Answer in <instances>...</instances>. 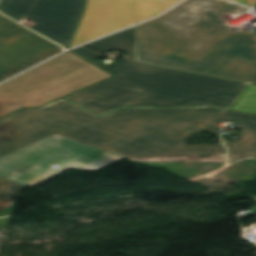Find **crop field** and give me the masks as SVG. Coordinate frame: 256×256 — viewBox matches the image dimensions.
Here are the masks:
<instances>
[{
	"label": "crop field",
	"mask_w": 256,
	"mask_h": 256,
	"mask_svg": "<svg viewBox=\"0 0 256 256\" xmlns=\"http://www.w3.org/2000/svg\"><path fill=\"white\" fill-rule=\"evenodd\" d=\"M110 76L67 52L0 85V117L22 107H39Z\"/></svg>",
	"instance_id": "34b2d1b8"
},
{
	"label": "crop field",
	"mask_w": 256,
	"mask_h": 256,
	"mask_svg": "<svg viewBox=\"0 0 256 256\" xmlns=\"http://www.w3.org/2000/svg\"><path fill=\"white\" fill-rule=\"evenodd\" d=\"M121 159L56 135L0 158V176L33 187L66 169L97 171Z\"/></svg>",
	"instance_id": "412701ff"
},
{
	"label": "crop field",
	"mask_w": 256,
	"mask_h": 256,
	"mask_svg": "<svg viewBox=\"0 0 256 256\" xmlns=\"http://www.w3.org/2000/svg\"><path fill=\"white\" fill-rule=\"evenodd\" d=\"M85 0H1L0 11L17 21L28 18L31 27L68 47L83 12Z\"/></svg>",
	"instance_id": "dd49c442"
},
{
	"label": "crop field",
	"mask_w": 256,
	"mask_h": 256,
	"mask_svg": "<svg viewBox=\"0 0 256 256\" xmlns=\"http://www.w3.org/2000/svg\"><path fill=\"white\" fill-rule=\"evenodd\" d=\"M100 52L127 55L106 70L116 78L42 109L23 110L0 120V157L56 134L124 158L226 154L222 144L184 145L204 130L219 137L214 121H236L243 130L226 142L229 159L256 158V116L226 111L247 84L135 62V27L86 44ZM127 107H203L189 109ZM46 140V139H45ZM25 185L0 177V210L10 207Z\"/></svg>",
	"instance_id": "8a807250"
},
{
	"label": "crop field",
	"mask_w": 256,
	"mask_h": 256,
	"mask_svg": "<svg viewBox=\"0 0 256 256\" xmlns=\"http://www.w3.org/2000/svg\"><path fill=\"white\" fill-rule=\"evenodd\" d=\"M72 51L81 55V56H83V57H85V58H87V59H89V60H91V61H93V62L103 57V56H101V55H99L95 52H92V51L84 48V47H81V48H78V49H75V50H72Z\"/></svg>",
	"instance_id": "3316defc"
},
{
	"label": "crop field",
	"mask_w": 256,
	"mask_h": 256,
	"mask_svg": "<svg viewBox=\"0 0 256 256\" xmlns=\"http://www.w3.org/2000/svg\"><path fill=\"white\" fill-rule=\"evenodd\" d=\"M247 10L187 0L136 27V61L247 83L256 76V33L233 32L221 18Z\"/></svg>",
	"instance_id": "ac0d7876"
},
{
	"label": "crop field",
	"mask_w": 256,
	"mask_h": 256,
	"mask_svg": "<svg viewBox=\"0 0 256 256\" xmlns=\"http://www.w3.org/2000/svg\"><path fill=\"white\" fill-rule=\"evenodd\" d=\"M61 51L60 46L0 14V82Z\"/></svg>",
	"instance_id": "e52e79f7"
},
{
	"label": "crop field",
	"mask_w": 256,
	"mask_h": 256,
	"mask_svg": "<svg viewBox=\"0 0 256 256\" xmlns=\"http://www.w3.org/2000/svg\"><path fill=\"white\" fill-rule=\"evenodd\" d=\"M250 199L256 203V196H251Z\"/></svg>",
	"instance_id": "28ad6ade"
},
{
	"label": "crop field",
	"mask_w": 256,
	"mask_h": 256,
	"mask_svg": "<svg viewBox=\"0 0 256 256\" xmlns=\"http://www.w3.org/2000/svg\"><path fill=\"white\" fill-rule=\"evenodd\" d=\"M180 0H88L70 47L151 18ZM252 7L256 0H232Z\"/></svg>",
	"instance_id": "f4fd0767"
},
{
	"label": "crop field",
	"mask_w": 256,
	"mask_h": 256,
	"mask_svg": "<svg viewBox=\"0 0 256 256\" xmlns=\"http://www.w3.org/2000/svg\"><path fill=\"white\" fill-rule=\"evenodd\" d=\"M226 155H214V156H189V157H165V158H140L130 159L140 162H180V161H192V162H226Z\"/></svg>",
	"instance_id": "d8731c3e"
},
{
	"label": "crop field",
	"mask_w": 256,
	"mask_h": 256,
	"mask_svg": "<svg viewBox=\"0 0 256 256\" xmlns=\"http://www.w3.org/2000/svg\"><path fill=\"white\" fill-rule=\"evenodd\" d=\"M231 109L256 114V86L250 85Z\"/></svg>",
	"instance_id": "5a996713"
}]
</instances>
